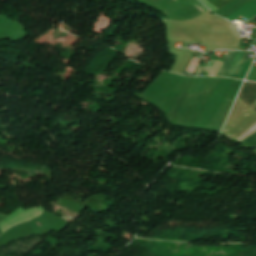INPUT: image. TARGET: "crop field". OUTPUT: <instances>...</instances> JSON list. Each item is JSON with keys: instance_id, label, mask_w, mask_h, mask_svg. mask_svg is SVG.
<instances>
[{"instance_id": "8a807250", "label": "crop field", "mask_w": 256, "mask_h": 256, "mask_svg": "<svg viewBox=\"0 0 256 256\" xmlns=\"http://www.w3.org/2000/svg\"><path fill=\"white\" fill-rule=\"evenodd\" d=\"M248 52L230 51L217 76L236 78Z\"/></svg>"}, {"instance_id": "ac0d7876", "label": "crop field", "mask_w": 256, "mask_h": 256, "mask_svg": "<svg viewBox=\"0 0 256 256\" xmlns=\"http://www.w3.org/2000/svg\"><path fill=\"white\" fill-rule=\"evenodd\" d=\"M238 97L250 107L256 99V83L245 82Z\"/></svg>"}, {"instance_id": "34b2d1b8", "label": "crop field", "mask_w": 256, "mask_h": 256, "mask_svg": "<svg viewBox=\"0 0 256 256\" xmlns=\"http://www.w3.org/2000/svg\"><path fill=\"white\" fill-rule=\"evenodd\" d=\"M214 6H216L218 9L221 8L223 5H225L230 0H207ZM232 1V0H231Z\"/></svg>"}, {"instance_id": "412701ff", "label": "crop field", "mask_w": 256, "mask_h": 256, "mask_svg": "<svg viewBox=\"0 0 256 256\" xmlns=\"http://www.w3.org/2000/svg\"><path fill=\"white\" fill-rule=\"evenodd\" d=\"M254 20H256V17L254 18Z\"/></svg>"}, {"instance_id": "f4fd0767", "label": "crop field", "mask_w": 256, "mask_h": 256, "mask_svg": "<svg viewBox=\"0 0 256 256\" xmlns=\"http://www.w3.org/2000/svg\"><path fill=\"white\" fill-rule=\"evenodd\" d=\"M255 111H256V107H255Z\"/></svg>"}]
</instances>
